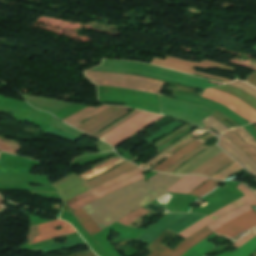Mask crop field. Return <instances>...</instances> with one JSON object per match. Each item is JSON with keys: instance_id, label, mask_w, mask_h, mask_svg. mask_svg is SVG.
Masks as SVG:
<instances>
[{"instance_id": "8a807250", "label": "crop field", "mask_w": 256, "mask_h": 256, "mask_svg": "<svg viewBox=\"0 0 256 256\" xmlns=\"http://www.w3.org/2000/svg\"><path fill=\"white\" fill-rule=\"evenodd\" d=\"M182 177L160 173L147 183L143 178L82 209L101 231L124 215L167 194L164 191Z\"/></svg>"}, {"instance_id": "ac0d7876", "label": "crop field", "mask_w": 256, "mask_h": 256, "mask_svg": "<svg viewBox=\"0 0 256 256\" xmlns=\"http://www.w3.org/2000/svg\"><path fill=\"white\" fill-rule=\"evenodd\" d=\"M86 76L98 85L122 87L133 90L158 94L163 83L162 81L152 80L140 76L103 73V72H85Z\"/></svg>"}, {"instance_id": "34b2d1b8", "label": "crop field", "mask_w": 256, "mask_h": 256, "mask_svg": "<svg viewBox=\"0 0 256 256\" xmlns=\"http://www.w3.org/2000/svg\"><path fill=\"white\" fill-rule=\"evenodd\" d=\"M142 172H144V170L137 167L123 175H120V176H118L108 182H105L91 190H88L79 196L74 197V199L77 202L73 198H71L65 202L67 203L68 206L70 204L76 202V203L70 205L71 208L73 209V211H75L84 205H87L103 196H106L124 186H127V185L143 178L144 176H143Z\"/></svg>"}, {"instance_id": "412701ff", "label": "crop field", "mask_w": 256, "mask_h": 256, "mask_svg": "<svg viewBox=\"0 0 256 256\" xmlns=\"http://www.w3.org/2000/svg\"><path fill=\"white\" fill-rule=\"evenodd\" d=\"M252 209L248 204L226 214L222 218L218 219L214 223L210 224L209 227L211 230H216L217 228L221 227L225 223L229 222L233 218L241 215L242 213ZM256 226V212L252 209L243 215L233 219L229 223L225 224L221 228L217 229L216 232L217 234L220 235H225L228 237H233L234 235L238 234L242 230L250 229L252 227Z\"/></svg>"}, {"instance_id": "f4fd0767", "label": "crop field", "mask_w": 256, "mask_h": 256, "mask_svg": "<svg viewBox=\"0 0 256 256\" xmlns=\"http://www.w3.org/2000/svg\"><path fill=\"white\" fill-rule=\"evenodd\" d=\"M205 216L197 214H181V213H171L166 217L152 225L146 231H144L136 239L151 244L156 238H158L166 229H169L175 233L182 231L188 226L192 225L196 221L200 220ZM143 242V243H144Z\"/></svg>"}, {"instance_id": "dd49c442", "label": "crop field", "mask_w": 256, "mask_h": 256, "mask_svg": "<svg viewBox=\"0 0 256 256\" xmlns=\"http://www.w3.org/2000/svg\"><path fill=\"white\" fill-rule=\"evenodd\" d=\"M162 117L164 116L141 111L99 139L110 143L114 147Z\"/></svg>"}, {"instance_id": "e52e79f7", "label": "crop field", "mask_w": 256, "mask_h": 256, "mask_svg": "<svg viewBox=\"0 0 256 256\" xmlns=\"http://www.w3.org/2000/svg\"><path fill=\"white\" fill-rule=\"evenodd\" d=\"M236 188L241 191L245 196L217 210L208 217L179 233V235L186 238L191 234L195 233L196 231L200 230L201 228L205 227L207 224L213 222L214 220L218 219L219 217L225 215L226 213L232 211L233 209L239 207L246 202L250 205H256V195L248 187L240 183Z\"/></svg>"}, {"instance_id": "d8731c3e", "label": "crop field", "mask_w": 256, "mask_h": 256, "mask_svg": "<svg viewBox=\"0 0 256 256\" xmlns=\"http://www.w3.org/2000/svg\"><path fill=\"white\" fill-rule=\"evenodd\" d=\"M203 97L223 104L250 122H256V111L231 95L209 88L205 90Z\"/></svg>"}, {"instance_id": "5a996713", "label": "crop field", "mask_w": 256, "mask_h": 256, "mask_svg": "<svg viewBox=\"0 0 256 256\" xmlns=\"http://www.w3.org/2000/svg\"><path fill=\"white\" fill-rule=\"evenodd\" d=\"M205 63L211 64V65H217V66L224 67V68H227V69H230V70L234 71V68H232V67L225 66L223 64L214 63V62H211V61H206V60H203L200 63H193V62H189V61H185V60H181V59H177V58L167 56L164 60L153 58V60L151 61V64L171 68V69H174V70H178V71H182V72H186V73H190V74H196V75L215 78V79L226 81V82H231L227 79H223V78H219V77H215V76H210V75L194 72L193 67H195V66H199V67H202V68H205V69L220 68V67H216V66L206 65ZM224 68H221V69H224ZM227 69H225V70H227Z\"/></svg>"}, {"instance_id": "3316defc", "label": "crop field", "mask_w": 256, "mask_h": 256, "mask_svg": "<svg viewBox=\"0 0 256 256\" xmlns=\"http://www.w3.org/2000/svg\"><path fill=\"white\" fill-rule=\"evenodd\" d=\"M208 228H203L190 237L186 238L176 249L173 251L158 245L149 256H182L191 246L204 239L207 235L212 234Z\"/></svg>"}, {"instance_id": "28ad6ade", "label": "crop field", "mask_w": 256, "mask_h": 256, "mask_svg": "<svg viewBox=\"0 0 256 256\" xmlns=\"http://www.w3.org/2000/svg\"><path fill=\"white\" fill-rule=\"evenodd\" d=\"M59 226H61L62 229L56 231L55 228ZM71 233H75V230L70 225L61 220L41 224L38 234L35 237L33 243L45 241L48 239L60 237Z\"/></svg>"}, {"instance_id": "d1516ede", "label": "crop field", "mask_w": 256, "mask_h": 256, "mask_svg": "<svg viewBox=\"0 0 256 256\" xmlns=\"http://www.w3.org/2000/svg\"><path fill=\"white\" fill-rule=\"evenodd\" d=\"M218 145L231 155L238 163H240L248 171L256 175V163L241 149L234 145L224 135L219 137Z\"/></svg>"}, {"instance_id": "22f410ed", "label": "crop field", "mask_w": 256, "mask_h": 256, "mask_svg": "<svg viewBox=\"0 0 256 256\" xmlns=\"http://www.w3.org/2000/svg\"><path fill=\"white\" fill-rule=\"evenodd\" d=\"M232 130L242 137L248 144L246 145L236 134L232 132ZM225 135L256 162V141L244 130L243 127L231 129L227 131Z\"/></svg>"}, {"instance_id": "cbeb9de0", "label": "crop field", "mask_w": 256, "mask_h": 256, "mask_svg": "<svg viewBox=\"0 0 256 256\" xmlns=\"http://www.w3.org/2000/svg\"><path fill=\"white\" fill-rule=\"evenodd\" d=\"M206 179L207 178H204L201 176H185L184 178H182L180 181H178L176 184H174L172 187H170L166 191L173 192V193L187 194L191 190H193L195 187L200 185L202 182H204Z\"/></svg>"}, {"instance_id": "5142ce71", "label": "crop field", "mask_w": 256, "mask_h": 256, "mask_svg": "<svg viewBox=\"0 0 256 256\" xmlns=\"http://www.w3.org/2000/svg\"><path fill=\"white\" fill-rule=\"evenodd\" d=\"M125 107H114L110 106L104 111L100 112L96 116L92 117L91 119L87 120L84 122L82 125L78 126L77 128L83 130V131H88L94 126L98 125L99 123L103 122L104 120L108 119L109 117L113 116L114 114L118 113Z\"/></svg>"}, {"instance_id": "d9b57169", "label": "crop field", "mask_w": 256, "mask_h": 256, "mask_svg": "<svg viewBox=\"0 0 256 256\" xmlns=\"http://www.w3.org/2000/svg\"><path fill=\"white\" fill-rule=\"evenodd\" d=\"M201 143L200 141L196 140L192 143H190L189 145L185 146L184 148H182L181 150H179L178 152H176L175 154H173L171 157H169L168 159H166L165 161H163L161 164H159L156 168H154L153 170L155 171H165L167 168H169L171 165H173L174 163H176L179 159H181L183 156H185L187 153H189L190 151H192L193 149L197 148L198 146H200Z\"/></svg>"}, {"instance_id": "733c2abd", "label": "crop field", "mask_w": 256, "mask_h": 256, "mask_svg": "<svg viewBox=\"0 0 256 256\" xmlns=\"http://www.w3.org/2000/svg\"><path fill=\"white\" fill-rule=\"evenodd\" d=\"M107 107L108 106H100L98 108H95V107L89 106L62 121L76 127L79 124H81L82 121L94 116L95 114L99 113L100 111H102Z\"/></svg>"}, {"instance_id": "4a817a6b", "label": "crop field", "mask_w": 256, "mask_h": 256, "mask_svg": "<svg viewBox=\"0 0 256 256\" xmlns=\"http://www.w3.org/2000/svg\"><path fill=\"white\" fill-rule=\"evenodd\" d=\"M215 235L217 234L214 233L207 237L205 240L191 247L183 256H203L212 249L216 248L215 245L207 241L208 239L212 238Z\"/></svg>"}, {"instance_id": "bc2a9ffb", "label": "crop field", "mask_w": 256, "mask_h": 256, "mask_svg": "<svg viewBox=\"0 0 256 256\" xmlns=\"http://www.w3.org/2000/svg\"><path fill=\"white\" fill-rule=\"evenodd\" d=\"M123 161L124 160H122L121 158L117 157L115 159H112V160H110L108 162H105V163L97 166L96 168H94V169H92V170H90V171L80 175V177H82L83 179L87 180L89 178H92V177H94L96 175H99V174H101V173L111 169L112 167H114L115 165H117V164H119V163H121Z\"/></svg>"}, {"instance_id": "214f88e0", "label": "crop field", "mask_w": 256, "mask_h": 256, "mask_svg": "<svg viewBox=\"0 0 256 256\" xmlns=\"http://www.w3.org/2000/svg\"><path fill=\"white\" fill-rule=\"evenodd\" d=\"M256 250V236L235 250L233 253L224 251L217 256H249Z\"/></svg>"}, {"instance_id": "92a150f3", "label": "crop field", "mask_w": 256, "mask_h": 256, "mask_svg": "<svg viewBox=\"0 0 256 256\" xmlns=\"http://www.w3.org/2000/svg\"><path fill=\"white\" fill-rule=\"evenodd\" d=\"M81 244H84V241L81 239V237H79V238L67 240L64 244L56 243V244L43 246V247H39V248L42 249L44 253H48V252H53L58 249H66V248L78 246Z\"/></svg>"}, {"instance_id": "dafd665d", "label": "crop field", "mask_w": 256, "mask_h": 256, "mask_svg": "<svg viewBox=\"0 0 256 256\" xmlns=\"http://www.w3.org/2000/svg\"><path fill=\"white\" fill-rule=\"evenodd\" d=\"M222 181H214V180H210L208 179L203 186L199 187L198 189L192 191L191 195H195L198 198L203 196L204 194L212 191L218 184H220Z\"/></svg>"}, {"instance_id": "00972430", "label": "crop field", "mask_w": 256, "mask_h": 256, "mask_svg": "<svg viewBox=\"0 0 256 256\" xmlns=\"http://www.w3.org/2000/svg\"><path fill=\"white\" fill-rule=\"evenodd\" d=\"M182 124H184V123H181V122L176 121V122H174V123H172V124H170V125L164 127L163 129H161V130L158 131L157 133H155V134H153V135L147 137L145 140L150 143V142H152L153 140H155L156 138H158V137H160V136H162V135H164V134H167V133H169V132H171V131H173V130L179 128V126L182 125Z\"/></svg>"}, {"instance_id": "a9b5d70f", "label": "crop field", "mask_w": 256, "mask_h": 256, "mask_svg": "<svg viewBox=\"0 0 256 256\" xmlns=\"http://www.w3.org/2000/svg\"><path fill=\"white\" fill-rule=\"evenodd\" d=\"M243 169L241 166H239L236 162L233 163L232 165L228 166L224 170L220 171L216 175L212 176L211 178L215 179H225L228 176L238 172L239 170Z\"/></svg>"}, {"instance_id": "4177f3b9", "label": "crop field", "mask_w": 256, "mask_h": 256, "mask_svg": "<svg viewBox=\"0 0 256 256\" xmlns=\"http://www.w3.org/2000/svg\"><path fill=\"white\" fill-rule=\"evenodd\" d=\"M148 212H149V211H147V210L141 208V209H139V210H137V211H135V212H133V213H131V214H129V215L123 217V218H121L118 222H120V223H122V224H124V225L127 226V225H129L131 222H133L134 220H136L138 217H140V216H142V215H144V214H146V213H148Z\"/></svg>"}, {"instance_id": "730fd06b", "label": "crop field", "mask_w": 256, "mask_h": 256, "mask_svg": "<svg viewBox=\"0 0 256 256\" xmlns=\"http://www.w3.org/2000/svg\"><path fill=\"white\" fill-rule=\"evenodd\" d=\"M202 122L206 123L210 127L214 128L218 133H223L224 131L228 130L225 126H223L219 121L215 120L212 117H207Z\"/></svg>"}, {"instance_id": "eef30255", "label": "crop field", "mask_w": 256, "mask_h": 256, "mask_svg": "<svg viewBox=\"0 0 256 256\" xmlns=\"http://www.w3.org/2000/svg\"><path fill=\"white\" fill-rule=\"evenodd\" d=\"M18 148L19 144L0 139V150L15 154Z\"/></svg>"}, {"instance_id": "ae1a2a85", "label": "crop field", "mask_w": 256, "mask_h": 256, "mask_svg": "<svg viewBox=\"0 0 256 256\" xmlns=\"http://www.w3.org/2000/svg\"><path fill=\"white\" fill-rule=\"evenodd\" d=\"M46 132L50 133V134H53V135H56V136H59V137H62V138H65V139H68V140H71V141H74V142H77L79 137H76L74 135H71V134H68L66 132H61L53 127H49Z\"/></svg>"}, {"instance_id": "d3111659", "label": "crop field", "mask_w": 256, "mask_h": 256, "mask_svg": "<svg viewBox=\"0 0 256 256\" xmlns=\"http://www.w3.org/2000/svg\"><path fill=\"white\" fill-rule=\"evenodd\" d=\"M228 84L236 86L256 98V89L253 88L252 86H250L244 82H241L239 80H236L235 82L228 83Z\"/></svg>"}, {"instance_id": "750c4746", "label": "crop field", "mask_w": 256, "mask_h": 256, "mask_svg": "<svg viewBox=\"0 0 256 256\" xmlns=\"http://www.w3.org/2000/svg\"><path fill=\"white\" fill-rule=\"evenodd\" d=\"M253 236L248 234L245 237L241 238L240 240H238L237 242H235L234 244H232L235 247H240L242 244H244L246 241H248L249 239H251Z\"/></svg>"}, {"instance_id": "bd1437ed", "label": "crop field", "mask_w": 256, "mask_h": 256, "mask_svg": "<svg viewBox=\"0 0 256 256\" xmlns=\"http://www.w3.org/2000/svg\"><path fill=\"white\" fill-rule=\"evenodd\" d=\"M248 83L256 87V72L250 75Z\"/></svg>"}, {"instance_id": "1d83c4d3", "label": "crop field", "mask_w": 256, "mask_h": 256, "mask_svg": "<svg viewBox=\"0 0 256 256\" xmlns=\"http://www.w3.org/2000/svg\"><path fill=\"white\" fill-rule=\"evenodd\" d=\"M193 127H191L187 132H189ZM187 132L181 134L180 136L174 138L173 140H171L170 142L166 143L165 145H163L162 147H160L158 150H156L157 152L160 151L161 149H163L164 147L168 146L169 144H171L174 140L178 139L179 137L185 135Z\"/></svg>"}, {"instance_id": "120bbe31", "label": "crop field", "mask_w": 256, "mask_h": 256, "mask_svg": "<svg viewBox=\"0 0 256 256\" xmlns=\"http://www.w3.org/2000/svg\"><path fill=\"white\" fill-rule=\"evenodd\" d=\"M3 202H4V200H2V199L0 198V206H3V205H4Z\"/></svg>"}, {"instance_id": "d32e631a", "label": "crop field", "mask_w": 256, "mask_h": 256, "mask_svg": "<svg viewBox=\"0 0 256 256\" xmlns=\"http://www.w3.org/2000/svg\"><path fill=\"white\" fill-rule=\"evenodd\" d=\"M253 48H255V49H256V46H254Z\"/></svg>"}, {"instance_id": "5866460e", "label": "crop field", "mask_w": 256, "mask_h": 256, "mask_svg": "<svg viewBox=\"0 0 256 256\" xmlns=\"http://www.w3.org/2000/svg\"><path fill=\"white\" fill-rule=\"evenodd\" d=\"M254 125V124H253ZM255 126V125H254ZM256 127V126H255Z\"/></svg>"}, {"instance_id": "028f5c9d", "label": "crop field", "mask_w": 256, "mask_h": 256, "mask_svg": "<svg viewBox=\"0 0 256 256\" xmlns=\"http://www.w3.org/2000/svg\"><path fill=\"white\" fill-rule=\"evenodd\" d=\"M255 192H256V190H255Z\"/></svg>"}, {"instance_id": "e1f06a70", "label": "crop field", "mask_w": 256, "mask_h": 256, "mask_svg": "<svg viewBox=\"0 0 256 256\" xmlns=\"http://www.w3.org/2000/svg\"><path fill=\"white\" fill-rule=\"evenodd\" d=\"M256 228V227H255Z\"/></svg>"}, {"instance_id": "0bd39190", "label": "crop field", "mask_w": 256, "mask_h": 256, "mask_svg": "<svg viewBox=\"0 0 256 256\" xmlns=\"http://www.w3.org/2000/svg\"><path fill=\"white\" fill-rule=\"evenodd\" d=\"M1 208V207H0Z\"/></svg>"}]
</instances>
